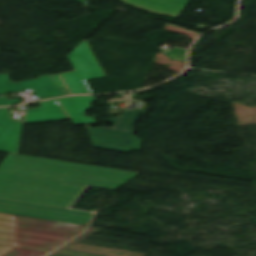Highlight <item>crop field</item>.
<instances>
[{"instance_id":"1","label":"crop field","mask_w":256,"mask_h":256,"mask_svg":"<svg viewBox=\"0 0 256 256\" xmlns=\"http://www.w3.org/2000/svg\"><path fill=\"white\" fill-rule=\"evenodd\" d=\"M15 247L49 252L84 226L13 215Z\"/></svg>"},{"instance_id":"2","label":"crop field","mask_w":256,"mask_h":256,"mask_svg":"<svg viewBox=\"0 0 256 256\" xmlns=\"http://www.w3.org/2000/svg\"><path fill=\"white\" fill-rule=\"evenodd\" d=\"M145 109H137L135 112L125 111L123 118L114 117L107 120L106 123L113 124L108 128H88L91 134L94 148L116 150V151H140L141 139H136L133 135V126L139 115H145ZM115 130H126L131 132H119Z\"/></svg>"},{"instance_id":"3","label":"crop field","mask_w":256,"mask_h":256,"mask_svg":"<svg viewBox=\"0 0 256 256\" xmlns=\"http://www.w3.org/2000/svg\"><path fill=\"white\" fill-rule=\"evenodd\" d=\"M75 71L60 76L70 94H91L85 80L104 77L86 39L68 55ZM93 94V93H92Z\"/></svg>"},{"instance_id":"4","label":"crop field","mask_w":256,"mask_h":256,"mask_svg":"<svg viewBox=\"0 0 256 256\" xmlns=\"http://www.w3.org/2000/svg\"><path fill=\"white\" fill-rule=\"evenodd\" d=\"M22 122L10 117L8 108H0V151L17 154Z\"/></svg>"},{"instance_id":"5","label":"crop field","mask_w":256,"mask_h":256,"mask_svg":"<svg viewBox=\"0 0 256 256\" xmlns=\"http://www.w3.org/2000/svg\"><path fill=\"white\" fill-rule=\"evenodd\" d=\"M138 9L179 18L190 0H121Z\"/></svg>"},{"instance_id":"6","label":"crop field","mask_w":256,"mask_h":256,"mask_svg":"<svg viewBox=\"0 0 256 256\" xmlns=\"http://www.w3.org/2000/svg\"><path fill=\"white\" fill-rule=\"evenodd\" d=\"M75 125L94 123L92 116L86 117L84 111L91 109L89 102L94 101V96H73L57 99Z\"/></svg>"},{"instance_id":"7","label":"crop field","mask_w":256,"mask_h":256,"mask_svg":"<svg viewBox=\"0 0 256 256\" xmlns=\"http://www.w3.org/2000/svg\"><path fill=\"white\" fill-rule=\"evenodd\" d=\"M55 100L40 102L41 107L27 110L24 124L68 119Z\"/></svg>"},{"instance_id":"8","label":"crop field","mask_w":256,"mask_h":256,"mask_svg":"<svg viewBox=\"0 0 256 256\" xmlns=\"http://www.w3.org/2000/svg\"><path fill=\"white\" fill-rule=\"evenodd\" d=\"M30 89H34L40 100L64 95L50 76L40 77L25 82Z\"/></svg>"},{"instance_id":"9","label":"crop field","mask_w":256,"mask_h":256,"mask_svg":"<svg viewBox=\"0 0 256 256\" xmlns=\"http://www.w3.org/2000/svg\"><path fill=\"white\" fill-rule=\"evenodd\" d=\"M14 247L12 215L0 213V255Z\"/></svg>"},{"instance_id":"10","label":"crop field","mask_w":256,"mask_h":256,"mask_svg":"<svg viewBox=\"0 0 256 256\" xmlns=\"http://www.w3.org/2000/svg\"><path fill=\"white\" fill-rule=\"evenodd\" d=\"M28 87L24 82L13 83L9 80L8 74H0V94L2 93H11V92H20L24 91ZM19 99L7 100L5 97L0 98V106L12 105L19 103Z\"/></svg>"},{"instance_id":"11","label":"crop field","mask_w":256,"mask_h":256,"mask_svg":"<svg viewBox=\"0 0 256 256\" xmlns=\"http://www.w3.org/2000/svg\"><path fill=\"white\" fill-rule=\"evenodd\" d=\"M45 254V252L14 248L11 251L4 254L3 256H43Z\"/></svg>"},{"instance_id":"12","label":"crop field","mask_w":256,"mask_h":256,"mask_svg":"<svg viewBox=\"0 0 256 256\" xmlns=\"http://www.w3.org/2000/svg\"><path fill=\"white\" fill-rule=\"evenodd\" d=\"M186 52V50L173 48L166 56L172 58L173 60L185 61Z\"/></svg>"},{"instance_id":"13","label":"crop field","mask_w":256,"mask_h":256,"mask_svg":"<svg viewBox=\"0 0 256 256\" xmlns=\"http://www.w3.org/2000/svg\"><path fill=\"white\" fill-rule=\"evenodd\" d=\"M52 79L56 82V84L60 87V89L64 92L65 95L68 94L59 74L51 75Z\"/></svg>"},{"instance_id":"14","label":"crop field","mask_w":256,"mask_h":256,"mask_svg":"<svg viewBox=\"0 0 256 256\" xmlns=\"http://www.w3.org/2000/svg\"><path fill=\"white\" fill-rule=\"evenodd\" d=\"M76 1H79V2H83V3H85V1H86V0H76Z\"/></svg>"}]
</instances>
